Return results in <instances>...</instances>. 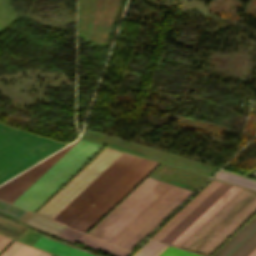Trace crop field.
I'll use <instances>...</instances> for the list:
<instances>
[{
	"instance_id": "crop-field-4",
	"label": "crop field",
	"mask_w": 256,
	"mask_h": 256,
	"mask_svg": "<svg viewBox=\"0 0 256 256\" xmlns=\"http://www.w3.org/2000/svg\"><path fill=\"white\" fill-rule=\"evenodd\" d=\"M65 145L0 123V184Z\"/></svg>"
},
{
	"instance_id": "crop-field-3",
	"label": "crop field",
	"mask_w": 256,
	"mask_h": 256,
	"mask_svg": "<svg viewBox=\"0 0 256 256\" xmlns=\"http://www.w3.org/2000/svg\"><path fill=\"white\" fill-rule=\"evenodd\" d=\"M77 141L0 186V199L11 203ZM102 148L95 143L79 140L12 204L33 212Z\"/></svg>"
},
{
	"instance_id": "crop-field-15",
	"label": "crop field",
	"mask_w": 256,
	"mask_h": 256,
	"mask_svg": "<svg viewBox=\"0 0 256 256\" xmlns=\"http://www.w3.org/2000/svg\"><path fill=\"white\" fill-rule=\"evenodd\" d=\"M214 178H217V179L222 180V181H226V182H229V183H232V184H236V185H239V186H243V187H246V188L256 190V181L250 180V179H247V178H244V177H240V176H237V175H233V174L227 173L223 170H221L218 174H216L214 176Z\"/></svg>"
},
{
	"instance_id": "crop-field-8",
	"label": "crop field",
	"mask_w": 256,
	"mask_h": 256,
	"mask_svg": "<svg viewBox=\"0 0 256 256\" xmlns=\"http://www.w3.org/2000/svg\"><path fill=\"white\" fill-rule=\"evenodd\" d=\"M256 247V216L213 256H247Z\"/></svg>"
},
{
	"instance_id": "crop-field-24",
	"label": "crop field",
	"mask_w": 256,
	"mask_h": 256,
	"mask_svg": "<svg viewBox=\"0 0 256 256\" xmlns=\"http://www.w3.org/2000/svg\"><path fill=\"white\" fill-rule=\"evenodd\" d=\"M254 177H256V175H254Z\"/></svg>"
},
{
	"instance_id": "crop-field-20",
	"label": "crop field",
	"mask_w": 256,
	"mask_h": 256,
	"mask_svg": "<svg viewBox=\"0 0 256 256\" xmlns=\"http://www.w3.org/2000/svg\"><path fill=\"white\" fill-rule=\"evenodd\" d=\"M12 241V239H9L7 237L1 236L0 235V251L6 246L8 245L10 242Z\"/></svg>"
},
{
	"instance_id": "crop-field-10",
	"label": "crop field",
	"mask_w": 256,
	"mask_h": 256,
	"mask_svg": "<svg viewBox=\"0 0 256 256\" xmlns=\"http://www.w3.org/2000/svg\"><path fill=\"white\" fill-rule=\"evenodd\" d=\"M221 182L214 180L196 198H194L184 209H182L171 221H169L152 239L160 241L169 231H171L190 211H192L211 191Z\"/></svg>"
},
{
	"instance_id": "crop-field-22",
	"label": "crop field",
	"mask_w": 256,
	"mask_h": 256,
	"mask_svg": "<svg viewBox=\"0 0 256 256\" xmlns=\"http://www.w3.org/2000/svg\"><path fill=\"white\" fill-rule=\"evenodd\" d=\"M248 256H256V248Z\"/></svg>"
},
{
	"instance_id": "crop-field-6",
	"label": "crop field",
	"mask_w": 256,
	"mask_h": 256,
	"mask_svg": "<svg viewBox=\"0 0 256 256\" xmlns=\"http://www.w3.org/2000/svg\"><path fill=\"white\" fill-rule=\"evenodd\" d=\"M240 189L241 187L223 183L207 199L205 198L206 200H204L168 235H166L161 242L179 247Z\"/></svg>"
},
{
	"instance_id": "crop-field-9",
	"label": "crop field",
	"mask_w": 256,
	"mask_h": 256,
	"mask_svg": "<svg viewBox=\"0 0 256 256\" xmlns=\"http://www.w3.org/2000/svg\"><path fill=\"white\" fill-rule=\"evenodd\" d=\"M159 163L152 161L131 182H129L116 196H114L101 210H99L79 231L86 233L97 223L113 206H115L126 194H128L140 181H142Z\"/></svg>"
},
{
	"instance_id": "crop-field-11",
	"label": "crop field",
	"mask_w": 256,
	"mask_h": 256,
	"mask_svg": "<svg viewBox=\"0 0 256 256\" xmlns=\"http://www.w3.org/2000/svg\"><path fill=\"white\" fill-rule=\"evenodd\" d=\"M33 246L58 254L60 256H96L43 236H41L33 244Z\"/></svg>"
},
{
	"instance_id": "crop-field-14",
	"label": "crop field",
	"mask_w": 256,
	"mask_h": 256,
	"mask_svg": "<svg viewBox=\"0 0 256 256\" xmlns=\"http://www.w3.org/2000/svg\"><path fill=\"white\" fill-rule=\"evenodd\" d=\"M50 253L14 241L0 256H49Z\"/></svg>"
},
{
	"instance_id": "crop-field-13",
	"label": "crop field",
	"mask_w": 256,
	"mask_h": 256,
	"mask_svg": "<svg viewBox=\"0 0 256 256\" xmlns=\"http://www.w3.org/2000/svg\"><path fill=\"white\" fill-rule=\"evenodd\" d=\"M23 223L57 236L66 226L54 223L41 216L32 213Z\"/></svg>"
},
{
	"instance_id": "crop-field-5",
	"label": "crop field",
	"mask_w": 256,
	"mask_h": 256,
	"mask_svg": "<svg viewBox=\"0 0 256 256\" xmlns=\"http://www.w3.org/2000/svg\"><path fill=\"white\" fill-rule=\"evenodd\" d=\"M256 210V191L242 188L180 248L208 255Z\"/></svg>"
},
{
	"instance_id": "crop-field-19",
	"label": "crop field",
	"mask_w": 256,
	"mask_h": 256,
	"mask_svg": "<svg viewBox=\"0 0 256 256\" xmlns=\"http://www.w3.org/2000/svg\"><path fill=\"white\" fill-rule=\"evenodd\" d=\"M83 235V233L78 232L74 229H71L67 227L60 235L59 237L66 239L72 243H74L78 238H80Z\"/></svg>"
},
{
	"instance_id": "crop-field-16",
	"label": "crop field",
	"mask_w": 256,
	"mask_h": 256,
	"mask_svg": "<svg viewBox=\"0 0 256 256\" xmlns=\"http://www.w3.org/2000/svg\"><path fill=\"white\" fill-rule=\"evenodd\" d=\"M164 244L149 240L133 256H153Z\"/></svg>"
},
{
	"instance_id": "crop-field-23",
	"label": "crop field",
	"mask_w": 256,
	"mask_h": 256,
	"mask_svg": "<svg viewBox=\"0 0 256 256\" xmlns=\"http://www.w3.org/2000/svg\"><path fill=\"white\" fill-rule=\"evenodd\" d=\"M254 174H256V171H255V172H253L252 174H250L249 176H252V175H254Z\"/></svg>"
},
{
	"instance_id": "crop-field-2",
	"label": "crop field",
	"mask_w": 256,
	"mask_h": 256,
	"mask_svg": "<svg viewBox=\"0 0 256 256\" xmlns=\"http://www.w3.org/2000/svg\"><path fill=\"white\" fill-rule=\"evenodd\" d=\"M120 154L121 152L105 147L36 213L51 219ZM139 159L140 157L122 153L52 220L68 226Z\"/></svg>"
},
{
	"instance_id": "crop-field-21",
	"label": "crop field",
	"mask_w": 256,
	"mask_h": 256,
	"mask_svg": "<svg viewBox=\"0 0 256 256\" xmlns=\"http://www.w3.org/2000/svg\"><path fill=\"white\" fill-rule=\"evenodd\" d=\"M31 214V212L26 211L19 219L18 221L22 222L26 217H28Z\"/></svg>"
},
{
	"instance_id": "crop-field-18",
	"label": "crop field",
	"mask_w": 256,
	"mask_h": 256,
	"mask_svg": "<svg viewBox=\"0 0 256 256\" xmlns=\"http://www.w3.org/2000/svg\"><path fill=\"white\" fill-rule=\"evenodd\" d=\"M25 210L16 208L6 202L0 200V213L17 220Z\"/></svg>"
},
{
	"instance_id": "crop-field-7",
	"label": "crop field",
	"mask_w": 256,
	"mask_h": 256,
	"mask_svg": "<svg viewBox=\"0 0 256 256\" xmlns=\"http://www.w3.org/2000/svg\"><path fill=\"white\" fill-rule=\"evenodd\" d=\"M151 160L141 158L118 181H116L93 205L89 206L69 227L78 230L99 209H101L114 195H116L129 181H131Z\"/></svg>"
},
{
	"instance_id": "crop-field-12",
	"label": "crop field",
	"mask_w": 256,
	"mask_h": 256,
	"mask_svg": "<svg viewBox=\"0 0 256 256\" xmlns=\"http://www.w3.org/2000/svg\"><path fill=\"white\" fill-rule=\"evenodd\" d=\"M77 242L82 243L84 245H87L89 247H92L94 249H97L99 251H102V252L107 253L112 256H125L129 253L125 250H122L113 245H110L108 243H105L103 241L95 239L86 234H84L80 239H78Z\"/></svg>"
},
{
	"instance_id": "crop-field-17",
	"label": "crop field",
	"mask_w": 256,
	"mask_h": 256,
	"mask_svg": "<svg viewBox=\"0 0 256 256\" xmlns=\"http://www.w3.org/2000/svg\"><path fill=\"white\" fill-rule=\"evenodd\" d=\"M155 256H202L165 245Z\"/></svg>"
},
{
	"instance_id": "crop-field-1",
	"label": "crop field",
	"mask_w": 256,
	"mask_h": 256,
	"mask_svg": "<svg viewBox=\"0 0 256 256\" xmlns=\"http://www.w3.org/2000/svg\"><path fill=\"white\" fill-rule=\"evenodd\" d=\"M192 192L146 178L88 234L131 250Z\"/></svg>"
}]
</instances>
